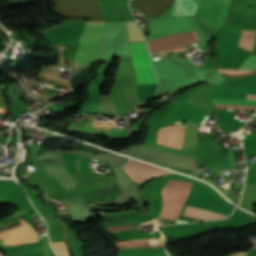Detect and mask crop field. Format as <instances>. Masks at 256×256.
<instances>
[{
  "label": "crop field",
  "mask_w": 256,
  "mask_h": 256,
  "mask_svg": "<svg viewBox=\"0 0 256 256\" xmlns=\"http://www.w3.org/2000/svg\"><path fill=\"white\" fill-rule=\"evenodd\" d=\"M192 27L187 17L174 18L152 23L150 25L149 38L191 30ZM150 53L167 52L185 48V45L196 43L195 31L178 35L149 40Z\"/></svg>",
  "instance_id": "1"
},
{
  "label": "crop field",
  "mask_w": 256,
  "mask_h": 256,
  "mask_svg": "<svg viewBox=\"0 0 256 256\" xmlns=\"http://www.w3.org/2000/svg\"><path fill=\"white\" fill-rule=\"evenodd\" d=\"M229 2L230 0H176L171 9L158 18L198 13L209 24L218 28L225 24Z\"/></svg>",
  "instance_id": "2"
},
{
  "label": "crop field",
  "mask_w": 256,
  "mask_h": 256,
  "mask_svg": "<svg viewBox=\"0 0 256 256\" xmlns=\"http://www.w3.org/2000/svg\"><path fill=\"white\" fill-rule=\"evenodd\" d=\"M129 40L144 39L136 21H126ZM144 41V40H137ZM129 41V42H137ZM131 52L148 51L145 42L130 43ZM135 69L152 68L148 52L131 53ZM137 84L156 83L153 70H135Z\"/></svg>",
  "instance_id": "3"
},
{
  "label": "crop field",
  "mask_w": 256,
  "mask_h": 256,
  "mask_svg": "<svg viewBox=\"0 0 256 256\" xmlns=\"http://www.w3.org/2000/svg\"><path fill=\"white\" fill-rule=\"evenodd\" d=\"M191 184L190 182L179 180H169L166 183L161 191L163 201L161 215L178 218L184 206V202L190 193ZM163 216L160 218L168 221L176 220Z\"/></svg>",
  "instance_id": "4"
},
{
  "label": "crop field",
  "mask_w": 256,
  "mask_h": 256,
  "mask_svg": "<svg viewBox=\"0 0 256 256\" xmlns=\"http://www.w3.org/2000/svg\"><path fill=\"white\" fill-rule=\"evenodd\" d=\"M105 24L85 22L84 33L75 56L74 64L88 66L99 51Z\"/></svg>",
  "instance_id": "5"
},
{
  "label": "crop field",
  "mask_w": 256,
  "mask_h": 256,
  "mask_svg": "<svg viewBox=\"0 0 256 256\" xmlns=\"http://www.w3.org/2000/svg\"><path fill=\"white\" fill-rule=\"evenodd\" d=\"M55 11L65 17L101 20L102 12L97 0H54Z\"/></svg>",
  "instance_id": "6"
},
{
  "label": "crop field",
  "mask_w": 256,
  "mask_h": 256,
  "mask_svg": "<svg viewBox=\"0 0 256 256\" xmlns=\"http://www.w3.org/2000/svg\"><path fill=\"white\" fill-rule=\"evenodd\" d=\"M182 129V126H166L161 128L157 135V143L179 149ZM198 134V130L184 127L180 149L196 146Z\"/></svg>",
  "instance_id": "7"
},
{
  "label": "crop field",
  "mask_w": 256,
  "mask_h": 256,
  "mask_svg": "<svg viewBox=\"0 0 256 256\" xmlns=\"http://www.w3.org/2000/svg\"><path fill=\"white\" fill-rule=\"evenodd\" d=\"M122 169L133 181L141 184L149 178L171 173L134 160H130Z\"/></svg>",
  "instance_id": "8"
},
{
  "label": "crop field",
  "mask_w": 256,
  "mask_h": 256,
  "mask_svg": "<svg viewBox=\"0 0 256 256\" xmlns=\"http://www.w3.org/2000/svg\"><path fill=\"white\" fill-rule=\"evenodd\" d=\"M21 222L23 224L16 228L0 232V238L4 237L5 245H17L38 240L36 232L32 230L29 224L23 219Z\"/></svg>",
  "instance_id": "9"
},
{
  "label": "crop field",
  "mask_w": 256,
  "mask_h": 256,
  "mask_svg": "<svg viewBox=\"0 0 256 256\" xmlns=\"http://www.w3.org/2000/svg\"><path fill=\"white\" fill-rule=\"evenodd\" d=\"M173 2L174 0H132L129 7L139 9L150 16L158 17L167 11Z\"/></svg>",
  "instance_id": "10"
},
{
  "label": "crop field",
  "mask_w": 256,
  "mask_h": 256,
  "mask_svg": "<svg viewBox=\"0 0 256 256\" xmlns=\"http://www.w3.org/2000/svg\"><path fill=\"white\" fill-rule=\"evenodd\" d=\"M183 215L202 220L223 219L228 216L187 206Z\"/></svg>",
  "instance_id": "11"
},
{
  "label": "crop field",
  "mask_w": 256,
  "mask_h": 256,
  "mask_svg": "<svg viewBox=\"0 0 256 256\" xmlns=\"http://www.w3.org/2000/svg\"><path fill=\"white\" fill-rule=\"evenodd\" d=\"M215 103H223V104H239V105H255V101H248V100H239V99H218L213 98Z\"/></svg>",
  "instance_id": "12"
},
{
  "label": "crop field",
  "mask_w": 256,
  "mask_h": 256,
  "mask_svg": "<svg viewBox=\"0 0 256 256\" xmlns=\"http://www.w3.org/2000/svg\"><path fill=\"white\" fill-rule=\"evenodd\" d=\"M51 245L58 256H70L65 242L51 243Z\"/></svg>",
  "instance_id": "13"
},
{
  "label": "crop field",
  "mask_w": 256,
  "mask_h": 256,
  "mask_svg": "<svg viewBox=\"0 0 256 256\" xmlns=\"http://www.w3.org/2000/svg\"><path fill=\"white\" fill-rule=\"evenodd\" d=\"M240 69H256V56L250 55L249 58L242 63Z\"/></svg>",
  "instance_id": "14"
},
{
  "label": "crop field",
  "mask_w": 256,
  "mask_h": 256,
  "mask_svg": "<svg viewBox=\"0 0 256 256\" xmlns=\"http://www.w3.org/2000/svg\"><path fill=\"white\" fill-rule=\"evenodd\" d=\"M217 108H242V109H248V110H254L256 111V107L253 106H239V105H223V104H215Z\"/></svg>",
  "instance_id": "15"
},
{
  "label": "crop field",
  "mask_w": 256,
  "mask_h": 256,
  "mask_svg": "<svg viewBox=\"0 0 256 256\" xmlns=\"http://www.w3.org/2000/svg\"><path fill=\"white\" fill-rule=\"evenodd\" d=\"M133 228L132 224L128 225H121V226H113V227H107V229L110 232H116V231H122V230H127Z\"/></svg>",
  "instance_id": "16"
},
{
  "label": "crop field",
  "mask_w": 256,
  "mask_h": 256,
  "mask_svg": "<svg viewBox=\"0 0 256 256\" xmlns=\"http://www.w3.org/2000/svg\"><path fill=\"white\" fill-rule=\"evenodd\" d=\"M246 99H249V100H255L256 101V96L254 95H247Z\"/></svg>",
  "instance_id": "17"
},
{
  "label": "crop field",
  "mask_w": 256,
  "mask_h": 256,
  "mask_svg": "<svg viewBox=\"0 0 256 256\" xmlns=\"http://www.w3.org/2000/svg\"><path fill=\"white\" fill-rule=\"evenodd\" d=\"M244 252H240V253H236V254H232L230 256H243Z\"/></svg>",
  "instance_id": "18"
},
{
  "label": "crop field",
  "mask_w": 256,
  "mask_h": 256,
  "mask_svg": "<svg viewBox=\"0 0 256 256\" xmlns=\"http://www.w3.org/2000/svg\"><path fill=\"white\" fill-rule=\"evenodd\" d=\"M187 122H188V121H187ZM188 123H191V122H188ZM188 123H187V125H188V126H192V127H196V128H198V127H197V126H198V124L191 123V124L197 125V126H194V125H191V124H188Z\"/></svg>",
  "instance_id": "19"
},
{
  "label": "crop field",
  "mask_w": 256,
  "mask_h": 256,
  "mask_svg": "<svg viewBox=\"0 0 256 256\" xmlns=\"http://www.w3.org/2000/svg\"><path fill=\"white\" fill-rule=\"evenodd\" d=\"M256 117V115H254Z\"/></svg>",
  "instance_id": "20"
},
{
  "label": "crop field",
  "mask_w": 256,
  "mask_h": 256,
  "mask_svg": "<svg viewBox=\"0 0 256 256\" xmlns=\"http://www.w3.org/2000/svg\"><path fill=\"white\" fill-rule=\"evenodd\" d=\"M0 256H2V255L0 254Z\"/></svg>",
  "instance_id": "21"
}]
</instances>
